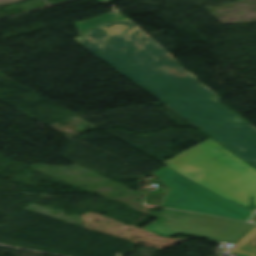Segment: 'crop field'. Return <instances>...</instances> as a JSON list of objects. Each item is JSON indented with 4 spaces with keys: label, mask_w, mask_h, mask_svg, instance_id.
I'll list each match as a JSON object with an SVG mask.
<instances>
[{
    "label": "crop field",
    "mask_w": 256,
    "mask_h": 256,
    "mask_svg": "<svg viewBox=\"0 0 256 256\" xmlns=\"http://www.w3.org/2000/svg\"><path fill=\"white\" fill-rule=\"evenodd\" d=\"M73 41L256 168V128L221 104L134 23L101 26Z\"/></svg>",
    "instance_id": "1"
},
{
    "label": "crop field",
    "mask_w": 256,
    "mask_h": 256,
    "mask_svg": "<svg viewBox=\"0 0 256 256\" xmlns=\"http://www.w3.org/2000/svg\"><path fill=\"white\" fill-rule=\"evenodd\" d=\"M254 213L256 170L212 138L163 162Z\"/></svg>",
    "instance_id": "2"
},
{
    "label": "crop field",
    "mask_w": 256,
    "mask_h": 256,
    "mask_svg": "<svg viewBox=\"0 0 256 256\" xmlns=\"http://www.w3.org/2000/svg\"><path fill=\"white\" fill-rule=\"evenodd\" d=\"M169 188L161 206L248 221L253 213L164 167L154 172Z\"/></svg>",
    "instance_id": "3"
},
{
    "label": "crop field",
    "mask_w": 256,
    "mask_h": 256,
    "mask_svg": "<svg viewBox=\"0 0 256 256\" xmlns=\"http://www.w3.org/2000/svg\"><path fill=\"white\" fill-rule=\"evenodd\" d=\"M255 225L164 209L161 217L144 230L168 237L193 235L212 241L235 243Z\"/></svg>",
    "instance_id": "4"
},
{
    "label": "crop field",
    "mask_w": 256,
    "mask_h": 256,
    "mask_svg": "<svg viewBox=\"0 0 256 256\" xmlns=\"http://www.w3.org/2000/svg\"><path fill=\"white\" fill-rule=\"evenodd\" d=\"M121 19L129 20V19L123 17L120 14V12H116V13L104 14V15H101L99 17L93 18L88 21L76 23V26L79 29L80 35H83L89 31H91L90 30L91 28L96 27L104 22L112 21L111 23H114V22H117L116 20H121ZM108 24H110V23H108ZM103 25H105V24H103Z\"/></svg>",
    "instance_id": "5"
},
{
    "label": "crop field",
    "mask_w": 256,
    "mask_h": 256,
    "mask_svg": "<svg viewBox=\"0 0 256 256\" xmlns=\"http://www.w3.org/2000/svg\"><path fill=\"white\" fill-rule=\"evenodd\" d=\"M231 251L247 256H256V228L232 247Z\"/></svg>",
    "instance_id": "6"
},
{
    "label": "crop field",
    "mask_w": 256,
    "mask_h": 256,
    "mask_svg": "<svg viewBox=\"0 0 256 256\" xmlns=\"http://www.w3.org/2000/svg\"><path fill=\"white\" fill-rule=\"evenodd\" d=\"M101 4H103V3H107V1L106 0H98Z\"/></svg>",
    "instance_id": "7"
},
{
    "label": "crop field",
    "mask_w": 256,
    "mask_h": 256,
    "mask_svg": "<svg viewBox=\"0 0 256 256\" xmlns=\"http://www.w3.org/2000/svg\"><path fill=\"white\" fill-rule=\"evenodd\" d=\"M251 221L256 222V214H255L254 217L251 219Z\"/></svg>",
    "instance_id": "8"
},
{
    "label": "crop field",
    "mask_w": 256,
    "mask_h": 256,
    "mask_svg": "<svg viewBox=\"0 0 256 256\" xmlns=\"http://www.w3.org/2000/svg\"><path fill=\"white\" fill-rule=\"evenodd\" d=\"M110 2H112V1H116V0H109Z\"/></svg>",
    "instance_id": "9"
}]
</instances>
